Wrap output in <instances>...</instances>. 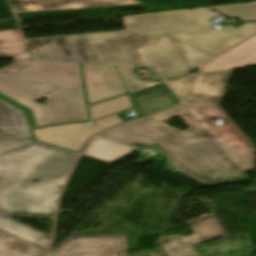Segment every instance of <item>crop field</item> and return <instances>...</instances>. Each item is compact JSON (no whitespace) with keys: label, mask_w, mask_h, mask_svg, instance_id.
<instances>
[{"label":"crop field","mask_w":256,"mask_h":256,"mask_svg":"<svg viewBox=\"0 0 256 256\" xmlns=\"http://www.w3.org/2000/svg\"><path fill=\"white\" fill-rule=\"evenodd\" d=\"M87 103L127 93L115 66L82 64Z\"/></svg>","instance_id":"crop-field-10"},{"label":"crop field","mask_w":256,"mask_h":256,"mask_svg":"<svg viewBox=\"0 0 256 256\" xmlns=\"http://www.w3.org/2000/svg\"><path fill=\"white\" fill-rule=\"evenodd\" d=\"M115 113L95 120L91 125L84 122L32 130L37 141L78 153L85 142L95 133L123 121Z\"/></svg>","instance_id":"crop-field-7"},{"label":"crop field","mask_w":256,"mask_h":256,"mask_svg":"<svg viewBox=\"0 0 256 256\" xmlns=\"http://www.w3.org/2000/svg\"><path fill=\"white\" fill-rule=\"evenodd\" d=\"M256 66V35L205 65L200 73Z\"/></svg>","instance_id":"crop-field-13"},{"label":"crop field","mask_w":256,"mask_h":256,"mask_svg":"<svg viewBox=\"0 0 256 256\" xmlns=\"http://www.w3.org/2000/svg\"><path fill=\"white\" fill-rule=\"evenodd\" d=\"M233 71L199 74L189 96L221 103Z\"/></svg>","instance_id":"crop-field-15"},{"label":"crop field","mask_w":256,"mask_h":256,"mask_svg":"<svg viewBox=\"0 0 256 256\" xmlns=\"http://www.w3.org/2000/svg\"><path fill=\"white\" fill-rule=\"evenodd\" d=\"M14 18L6 0H0V20Z\"/></svg>","instance_id":"crop-field-24"},{"label":"crop field","mask_w":256,"mask_h":256,"mask_svg":"<svg viewBox=\"0 0 256 256\" xmlns=\"http://www.w3.org/2000/svg\"><path fill=\"white\" fill-rule=\"evenodd\" d=\"M46 249L0 230V256H43Z\"/></svg>","instance_id":"crop-field-19"},{"label":"crop field","mask_w":256,"mask_h":256,"mask_svg":"<svg viewBox=\"0 0 256 256\" xmlns=\"http://www.w3.org/2000/svg\"><path fill=\"white\" fill-rule=\"evenodd\" d=\"M213 10H218L229 16H236L243 21H256V4L217 8Z\"/></svg>","instance_id":"crop-field-21"},{"label":"crop field","mask_w":256,"mask_h":256,"mask_svg":"<svg viewBox=\"0 0 256 256\" xmlns=\"http://www.w3.org/2000/svg\"><path fill=\"white\" fill-rule=\"evenodd\" d=\"M16 13L140 4L138 0H9Z\"/></svg>","instance_id":"crop-field-12"},{"label":"crop field","mask_w":256,"mask_h":256,"mask_svg":"<svg viewBox=\"0 0 256 256\" xmlns=\"http://www.w3.org/2000/svg\"><path fill=\"white\" fill-rule=\"evenodd\" d=\"M30 141L26 140H20V141H9V142H0V154L9 151L11 149H14L18 146H21L23 144H26Z\"/></svg>","instance_id":"crop-field-23"},{"label":"crop field","mask_w":256,"mask_h":256,"mask_svg":"<svg viewBox=\"0 0 256 256\" xmlns=\"http://www.w3.org/2000/svg\"><path fill=\"white\" fill-rule=\"evenodd\" d=\"M185 104L201 121H208L209 118L223 120L220 127L200 124L243 172L254 170L256 149L217 103L188 97Z\"/></svg>","instance_id":"crop-field-6"},{"label":"crop field","mask_w":256,"mask_h":256,"mask_svg":"<svg viewBox=\"0 0 256 256\" xmlns=\"http://www.w3.org/2000/svg\"><path fill=\"white\" fill-rule=\"evenodd\" d=\"M127 254V235L68 236L46 256H124Z\"/></svg>","instance_id":"crop-field-8"},{"label":"crop field","mask_w":256,"mask_h":256,"mask_svg":"<svg viewBox=\"0 0 256 256\" xmlns=\"http://www.w3.org/2000/svg\"><path fill=\"white\" fill-rule=\"evenodd\" d=\"M133 106L134 105L129 95L127 94L99 104L89 106L88 110L90 119H95Z\"/></svg>","instance_id":"crop-field-20"},{"label":"crop field","mask_w":256,"mask_h":256,"mask_svg":"<svg viewBox=\"0 0 256 256\" xmlns=\"http://www.w3.org/2000/svg\"><path fill=\"white\" fill-rule=\"evenodd\" d=\"M194 76L195 75H188V76H180V77H173V78H165L162 80L182 101L189 89V86H190Z\"/></svg>","instance_id":"crop-field-22"},{"label":"crop field","mask_w":256,"mask_h":256,"mask_svg":"<svg viewBox=\"0 0 256 256\" xmlns=\"http://www.w3.org/2000/svg\"><path fill=\"white\" fill-rule=\"evenodd\" d=\"M0 58L34 60L20 29L0 31Z\"/></svg>","instance_id":"crop-field-17"},{"label":"crop field","mask_w":256,"mask_h":256,"mask_svg":"<svg viewBox=\"0 0 256 256\" xmlns=\"http://www.w3.org/2000/svg\"><path fill=\"white\" fill-rule=\"evenodd\" d=\"M178 115L192 127L182 132L164 124ZM99 136L128 145L156 143L178 172L207 186L248 179L183 105Z\"/></svg>","instance_id":"crop-field-3"},{"label":"crop field","mask_w":256,"mask_h":256,"mask_svg":"<svg viewBox=\"0 0 256 256\" xmlns=\"http://www.w3.org/2000/svg\"><path fill=\"white\" fill-rule=\"evenodd\" d=\"M207 10L173 12L122 18L125 28L137 34L165 32L214 54L241 41L256 31V24L239 29L226 25L214 29L207 17L218 16Z\"/></svg>","instance_id":"crop-field-5"},{"label":"crop field","mask_w":256,"mask_h":256,"mask_svg":"<svg viewBox=\"0 0 256 256\" xmlns=\"http://www.w3.org/2000/svg\"><path fill=\"white\" fill-rule=\"evenodd\" d=\"M129 95L141 117L179 103L162 83Z\"/></svg>","instance_id":"crop-field-14"},{"label":"crop field","mask_w":256,"mask_h":256,"mask_svg":"<svg viewBox=\"0 0 256 256\" xmlns=\"http://www.w3.org/2000/svg\"><path fill=\"white\" fill-rule=\"evenodd\" d=\"M135 150L136 149L96 138L89 143L83 154L108 163H113L130 155Z\"/></svg>","instance_id":"crop-field-18"},{"label":"crop field","mask_w":256,"mask_h":256,"mask_svg":"<svg viewBox=\"0 0 256 256\" xmlns=\"http://www.w3.org/2000/svg\"><path fill=\"white\" fill-rule=\"evenodd\" d=\"M82 85L78 64L13 60L0 68V99L22 111L29 127L47 124L35 101L55 88Z\"/></svg>","instance_id":"crop-field-4"},{"label":"crop field","mask_w":256,"mask_h":256,"mask_svg":"<svg viewBox=\"0 0 256 256\" xmlns=\"http://www.w3.org/2000/svg\"><path fill=\"white\" fill-rule=\"evenodd\" d=\"M76 157L34 142L0 156V229L47 248L50 235L8 217L54 218L57 196Z\"/></svg>","instance_id":"crop-field-2"},{"label":"crop field","mask_w":256,"mask_h":256,"mask_svg":"<svg viewBox=\"0 0 256 256\" xmlns=\"http://www.w3.org/2000/svg\"><path fill=\"white\" fill-rule=\"evenodd\" d=\"M47 98L50 124L87 119L82 86L53 90Z\"/></svg>","instance_id":"crop-field-11"},{"label":"crop field","mask_w":256,"mask_h":256,"mask_svg":"<svg viewBox=\"0 0 256 256\" xmlns=\"http://www.w3.org/2000/svg\"><path fill=\"white\" fill-rule=\"evenodd\" d=\"M256 1V0H255Z\"/></svg>","instance_id":"crop-field-25"},{"label":"crop field","mask_w":256,"mask_h":256,"mask_svg":"<svg viewBox=\"0 0 256 256\" xmlns=\"http://www.w3.org/2000/svg\"><path fill=\"white\" fill-rule=\"evenodd\" d=\"M151 256V255H150Z\"/></svg>","instance_id":"crop-field-26"},{"label":"crop field","mask_w":256,"mask_h":256,"mask_svg":"<svg viewBox=\"0 0 256 256\" xmlns=\"http://www.w3.org/2000/svg\"><path fill=\"white\" fill-rule=\"evenodd\" d=\"M195 234L189 236H168L160 241L168 256H196L190 245L226 237L227 234L213 215L189 221ZM172 248V250H169Z\"/></svg>","instance_id":"crop-field-9"},{"label":"crop field","mask_w":256,"mask_h":256,"mask_svg":"<svg viewBox=\"0 0 256 256\" xmlns=\"http://www.w3.org/2000/svg\"><path fill=\"white\" fill-rule=\"evenodd\" d=\"M21 111L0 100V139L31 137Z\"/></svg>","instance_id":"crop-field-16"},{"label":"crop field","mask_w":256,"mask_h":256,"mask_svg":"<svg viewBox=\"0 0 256 256\" xmlns=\"http://www.w3.org/2000/svg\"><path fill=\"white\" fill-rule=\"evenodd\" d=\"M35 60L116 65L129 93L160 83L141 81L132 66L154 78L183 75L214 54L165 33L137 35L129 30L26 39Z\"/></svg>","instance_id":"crop-field-1"}]
</instances>
